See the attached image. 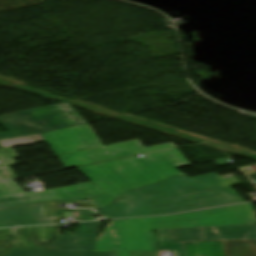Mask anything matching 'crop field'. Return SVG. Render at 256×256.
I'll list each match as a JSON object with an SVG mask.
<instances>
[{"label":"crop field","instance_id":"8a807250","mask_svg":"<svg viewBox=\"0 0 256 256\" xmlns=\"http://www.w3.org/2000/svg\"><path fill=\"white\" fill-rule=\"evenodd\" d=\"M240 184L233 178L200 185L182 174L128 192L115 204L99 209L98 212L109 219H115L172 214L242 203L244 201L230 188Z\"/></svg>","mask_w":256,"mask_h":256},{"label":"crop field","instance_id":"22f410ed","mask_svg":"<svg viewBox=\"0 0 256 256\" xmlns=\"http://www.w3.org/2000/svg\"><path fill=\"white\" fill-rule=\"evenodd\" d=\"M65 189L81 200L104 194V192L93 183H83L79 185L65 187Z\"/></svg>","mask_w":256,"mask_h":256},{"label":"crop field","instance_id":"d9b57169","mask_svg":"<svg viewBox=\"0 0 256 256\" xmlns=\"http://www.w3.org/2000/svg\"><path fill=\"white\" fill-rule=\"evenodd\" d=\"M15 177H16L15 173L12 170H10L8 167L0 169V178L2 180L15 178Z\"/></svg>","mask_w":256,"mask_h":256},{"label":"crop field","instance_id":"d8731c3e","mask_svg":"<svg viewBox=\"0 0 256 256\" xmlns=\"http://www.w3.org/2000/svg\"><path fill=\"white\" fill-rule=\"evenodd\" d=\"M61 212H74L75 217L94 220L93 211H60L45 219L42 203L0 211V227L54 223L53 217Z\"/></svg>","mask_w":256,"mask_h":256},{"label":"crop field","instance_id":"cbeb9de0","mask_svg":"<svg viewBox=\"0 0 256 256\" xmlns=\"http://www.w3.org/2000/svg\"><path fill=\"white\" fill-rule=\"evenodd\" d=\"M17 158V155L14 153L12 149L2 150L0 151V164L1 166L13 164V160Z\"/></svg>","mask_w":256,"mask_h":256},{"label":"crop field","instance_id":"e52e79f7","mask_svg":"<svg viewBox=\"0 0 256 256\" xmlns=\"http://www.w3.org/2000/svg\"><path fill=\"white\" fill-rule=\"evenodd\" d=\"M60 235L59 225L0 230V256H7L11 249H47Z\"/></svg>","mask_w":256,"mask_h":256},{"label":"crop field","instance_id":"34b2d1b8","mask_svg":"<svg viewBox=\"0 0 256 256\" xmlns=\"http://www.w3.org/2000/svg\"><path fill=\"white\" fill-rule=\"evenodd\" d=\"M143 156L77 168L106 193L91 198L99 208L114 203L125 192L182 174L175 168L190 165L177 149Z\"/></svg>","mask_w":256,"mask_h":256},{"label":"crop field","instance_id":"4a817a6b","mask_svg":"<svg viewBox=\"0 0 256 256\" xmlns=\"http://www.w3.org/2000/svg\"><path fill=\"white\" fill-rule=\"evenodd\" d=\"M151 247L155 246L157 237L154 232H149Z\"/></svg>","mask_w":256,"mask_h":256},{"label":"crop field","instance_id":"733c2abd","mask_svg":"<svg viewBox=\"0 0 256 256\" xmlns=\"http://www.w3.org/2000/svg\"><path fill=\"white\" fill-rule=\"evenodd\" d=\"M112 235V228H111V222L110 224L105 228V230L100 234V236L98 237L99 239H109L111 238Z\"/></svg>","mask_w":256,"mask_h":256},{"label":"crop field","instance_id":"3316defc","mask_svg":"<svg viewBox=\"0 0 256 256\" xmlns=\"http://www.w3.org/2000/svg\"><path fill=\"white\" fill-rule=\"evenodd\" d=\"M158 250H178L185 256L184 242L204 241L203 228L159 230Z\"/></svg>","mask_w":256,"mask_h":256},{"label":"crop field","instance_id":"f4fd0767","mask_svg":"<svg viewBox=\"0 0 256 256\" xmlns=\"http://www.w3.org/2000/svg\"><path fill=\"white\" fill-rule=\"evenodd\" d=\"M68 103H61L0 117V124L10 132L0 133L1 139L33 135L86 124Z\"/></svg>","mask_w":256,"mask_h":256},{"label":"crop field","instance_id":"5142ce71","mask_svg":"<svg viewBox=\"0 0 256 256\" xmlns=\"http://www.w3.org/2000/svg\"><path fill=\"white\" fill-rule=\"evenodd\" d=\"M193 179L196 180L200 184L213 182V181H218V180H223V178H221L216 173L207 174V175L198 176V177H193Z\"/></svg>","mask_w":256,"mask_h":256},{"label":"crop field","instance_id":"bc2a9ffb","mask_svg":"<svg viewBox=\"0 0 256 256\" xmlns=\"http://www.w3.org/2000/svg\"><path fill=\"white\" fill-rule=\"evenodd\" d=\"M6 207L2 204V202L0 201V210L1 209H5Z\"/></svg>","mask_w":256,"mask_h":256},{"label":"crop field","instance_id":"28ad6ade","mask_svg":"<svg viewBox=\"0 0 256 256\" xmlns=\"http://www.w3.org/2000/svg\"><path fill=\"white\" fill-rule=\"evenodd\" d=\"M205 241L256 239V225L204 228Z\"/></svg>","mask_w":256,"mask_h":256},{"label":"crop field","instance_id":"412701ff","mask_svg":"<svg viewBox=\"0 0 256 256\" xmlns=\"http://www.w3.org/2000/svg\"><path fill=\"white\" fill-rule=\"evenodd\" d=\"M41 135L65 168L175 147L169 143L145 148L139 139L104 147L89 124Z\"/></svg>","mask_w":256,"mask_h":256},{"label":"crop field","instance_id":"ac0d7876","mask_svg":"<svg viewBox=\"0 0 256 256\" xmlns=\"http://www.w3.org/2000/svg\"><path fill=\"white\" fill-rule=\"evenodd\" d=\"M252 224H256V213L251 203L168 217L112 221L116 235L98 241L96 251H118V256H130V251L157 252L149 243L148 230L153 229Z\"/></svg>","mask_w":256,"mask_h":256},{"label":"crop field","instance_id":"d1516ede","mask_svg":"<svg viewBox=\"0 0 256 256\" xmlns=\"http://www.w3.org/2000/svg\"><path fill=\"white\" fill-rule=\"evenodd\" d=\"M186 256H224L223 241L185 243Z\"/></svg>","mask_w":256,"mask_h":256},{"label":"crop field","instance_id":"dd49c442","mask_svg":"<svg viewBox=\"0 0 256 256\" xmlns=\"http://www.w3.org/2000/svg\"><path fill=\"white\" fill-rule=\"evenodd\" d=\"M100 222L79 223L76 235L63 234L47 250H11L8 256H117L95 252Z\"/></svg>","mask_w":256,"mask_h":256},{"label":"crop field","instance_id":"5a996713","mask_svg":"<svg viewBox=\"0 0 256 256\" xmlns=\"http://www.w3.org/2000/svg\"><path fill=\"white\" fill-rule=\"evenodd\" d=\"M0 200L7 208L35 204L42 201H78L65 189L24 194L12 181L0 183Z\"/></svg>","mask_w":256,"mask_h":256}]
</instances>
